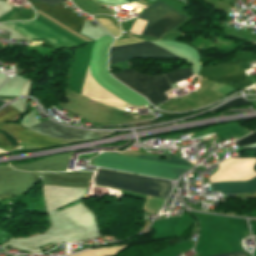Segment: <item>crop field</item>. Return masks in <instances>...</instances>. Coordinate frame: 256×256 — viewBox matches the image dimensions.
Listing matches in <instances>:
<instances>
[{"mask_svg": "<svg viewBox=\"0 0 256 256\" xmlns=\"http://www.w3.org/2000/svg\"><path fill=\"white\" fill-rule=\"evenodd\" d=\"M105 153L118 154V155H124V156H130V157H136V158H142V159H148V160H154V161H160V162H166V163H172V164H178V165H184V166H190V167L194 166V164L184 159L178 158L176 156H173V158L169 160H161L160 158L143 156V155L132 154V153H115V152H105ZM94 165L98 167L130 171L134 173L159 176V177H165L170 179H177L181 174L191 169L189 167L144 161V160H138V159H131V158H125V157H119V156L106 155V154H101L97 156L94 159Z\"/></svg>", "mask_w": 256, "mask_h": 256, "instance_id": "obj_1", "label": "crop field"}, {"mask_svg": "<svg viewBox=\"0 0 256 256\" xmlns=\"http://www.w3.org/2000/svg\"><path fill=\"white\" fill-rule=\"evenodd\" d=\"M49 15L53 16L57 20L71 27L77 32H80L85 20L76 14L72 13L63 6L57 4L53 7H49L43 3L33 4ZM13 30L21 33L27 38L34 40L38 38H44L53 44H75L73 41L68 38L60 35L59 33L53 31L47 26L41 24L40 22L34 20L32 22H21V23H8L5 24Z\"/></svg>", "mask_w": 256, "mask_h": 256, "instance_id": "obj_2", "label": "crop field"}, {"mask_svg": "<svg viewBox=\"0 0 256 256\" xmlns=\"http://www.w3.org/2000/svg\"><path fill=\"white\" fill-rule=\"evenodd\" d=\"M95 184L110 186L132 192L142 193L165 199L171 189L169 182L138 175L98 169Z\"/></svg>", "mask_w": 256, "mask_h": 256, "instance_id": "obj_3", "label": "crop field"}, {"mask_svg": "<svg viewBox=\"0 0 256 256\" xmlns=\"http://www.w3.org/2000/svg\"><path fill=\"white\" fill-rule=\"evenodd\" d=\"M140 18L150 20V22L147 20L138 19L136 20L130 31L142 35L144 29L149 22L143 35L160 38L164 32L188 17L180 14L179 12L169 8L166 4L158 1L147 7L142 12Z\"/></svg>", "mask_w": 256, "mask_h": 256, "instance_id": "obj_4", "label": "crop field"}, {"mask_svg": "<svg viewBox=\"0 0 256 256\" xmlns=\"http://www.w3.org/2000/svg\"><path fill=\"white\" fill-rule=\"evenodd\" d=\"M122 71V73L111 74H113L116 78L125 83L127 86L145 95L153 104L163 102L168 99L167 96L163 93L170 89V86L165 76H148L141 74L133 69H127Z\"/></svg>", "mask_w": 256, "mask_h": 256, "instance_id": "obj_5", "label": "crop field"}, {"mask_svg": "<svg viewBox=\"0 0 256 256\" xmlns=\"http://www.w3.org/2000/svg\"><path fill=\"white\" fill-rule=\"evenodd\" d=\"M148 42L133 37L115 41L113 46ZM179 58L152 42L114 47L110 49V64L133 58ZM181 59V58H180Z\"/></svg>", "mask_w": 256, "mask_h": 256, "instance_id": "obj_6", "label": "crop field"}, {"mask_svg": "<svg viewBox=\"0 0 256 256\" xmlns=\"http://www.w3.org/2000/svg\"><path fill=\"white\" fill-rule=\"evenodd\" d=\"M29 131H33L68 143L97 139L107 135L114 134L95 131H82L68 127H63L52 122L49 119L37 124L36 126L29 129Z\"/></svg>", "mask_w": 256, "mask_h": 256, "instance_id": "obj_7", "label": "crop field"}, {"mask_svg": "<svg viewBox=\"0 0 256 256\" xmlns=\"http://www.w3.org/2000/svg\"><path fill=\"white\" fill-rule=\"evenodd\" d=\"M219 170L209 178L210 182L249 180L256 176V158H230L219 164Z\"/></svg>", "mask_w": 256, "mask_h": 256, "instance_id": "obj_8", "label": "crop field"}, {"mask_svg": "<svg viewBox=\"0 0 256 256\" xmlns=\"http://www.w3.org/2000/svg\"><path fill=\"white\" fill-rule=\"evenodd\" d=\"M10 134L14 136L18 142H21L36 148L58 145V144H66L65 142H61L49 137H45L36 133L26 131V130L11 132Z\"/></svg>", "mask_w": 256, "mask_h": 256, "instance_id": "obj_9", "label": "crop field"}, {"mask_svg": "<svg viewBox=\"0 0 256 256\" xmlns=\"http://www.w3.org/2000/svg\"><path fill=\"white\" fill-rule=\"evenodd\" d=\"M212 190H221L222 194H242L256 191V177L249 182L211 183Z\"/></svg>", "mask_w": 256, "mask_h": 256, "instance_id": "obj_10", "label": "crop field"}, {"mask_svg": "<svg viewBox=\"0 0 256 256\" xmlns=\"http://www.w3.org/2000/svg\"><path fill=\"white\" fill-rule=\"evenodd\" d=\"M0 129L10 132V131H16V130H22L20 126L16 124H2L0 125ZM0 149H3L5 151L13 150L11 144L5 139L3 134L0 133Z\"/></svg>", "mask_w": 256, "mask_h": 256, "instance_id": "obj_11", "label": "crop field"}, {"mask_svg": "<svg viewBox=\"0 0 256 256\" xmlns=\"http://www.w3.org/2000/svg\"><path fill=\"white\" fill-rule=\"evenodd\" d=\"M124 246L107 248V249H92L89 251H85L80 254H76L73 256H109L115 254L118 250H120Z\"/></svg>", "mask_w": 256, "mask_h": 256, "instance_id": "obj_12", "label": "crop field"}, {"mask_svg": "<svg viewBox=\"0 0 256 256\" xmlns=\"http://www.w3.org/2000/svg\"><path fill=\"white\" fill-rule=\"evenodd\" d=\"M170 84L178 81H182L191 78L193 74L190 73V68L177 70L171 73L165 74Z\"/></svg>", "mask_w": 256, "mask_h": 256, "instance_id": "obj_13", "label": "crop field"}, {"mask_svg": "<svg viewBox=\"0 0 256 256\" xmlns=\"http://www.w3.org/2000/svg\"><path fill=\"white\" fill-rule=\"evenodd\" d=\"M19 114H21V113L18 112L12 106H9L6 109L0 111V123L7 122V121L13 119L14 117L18 116Z\"/></svg>", "mask_w": 256, "mask_h": 256, "instance_id": "obj_14", "label": "crop field"}, {"mask_svg": "<svg viewBox=\"0 0 256 256\" xmlns=\"http://www.w3.org/2000/svg\"><path fill=\"white\" fill-rule=\"evenodd\" d=\"M247 104H249V103L247 101H245L243 98H238V99H234V100L227 102L223 106L211 111V113L214 114V113H216L222 109H225V108L243 106V105H247Z\"/></svg>", "mask_w": 256, "mask_h": 256, "instance_id": "obj_15", "label": "crop field"}, {"mask_svg": "<svg viewBox=\"0 0 256 256\" xmlns=\"http://www.w3.org/2000/svg\"><path fill=\"white\" fill-rule=\"evenodd\" d=\"M98 21L106 30L110 31L114 35L118 36L120 31L114 26V24L108 18H98Z\"/></svg>", "mask_w": 256, "mask_h": 256, "instance_id": "obj_16", "label": "crop field"}, {"mask_svg": "<svg viewBox=\"0 0 256 256\" xmlns=\"http://www.w3.org/2000/svg\"><path fill=\"white\" fill-rule=\"evenodd\" d=\"M256 142V132L252 133L251 135L235 142V144L240 147L248 144H252Z\"/></svg>", "mask_w": 256, "mask_h": 256, "instance_id": "obj_17", "label": "crop field"}, {"mask_svg": "<svg viewBox=\"0 0 256 256\" xmlns=\"http://www.w3.org/2000/svg\"><path fill=\"white\" fill-rule=\"evenodd\" d=\"M216 256H247V254L242 252H236V253H228V254H222V255H216Z\"/></svg>", "mask_w": 256, "mask_h": 256, "instance_id": "obj_18", "label": "crop field"}, {"mask_svg": "<svg viewBox=\"0 0 256 256\" xmlns=\"http://www.w3.org/2000/svg\"><path fill=\"white\" fill-rule=\"evenodd\" d=\"M40 1H43V2L48 3V4H50V5H53V4L62 2V1H64V0H40Z\"/></svg>", "mask_w": 256, "mask_h": 256, "instance_id": "obj_19", "label": "crop field"}, {"mask_svg": "<svg viewBox=\"0 0 256 256\" xmlns=\"http://www.w3.org/2000/svg\"><path fill=\"white\" fill-rule=\"evenodd\" d=\"M3 103L2 102H0V105H2Z\"/></svg>", "mask_w": 256, "mask_h": 256, "instance_id": "obj_20", "label": "crop field"}, {"mask_svg": "<svg viewBox=\"0 0 256 256\" xmlns=\"http://www.w3.org/2000/svg\"><path fill=\"white\" fill-rule=\"evenodd\" d=\"M133 106H135V105H133ZM137 107H142V106H137Z\"/></svg>", "mask_w": 256, "mask_h": 256, "instance_id": "obj_21", "label": "crop field"}, {"mask_svg": "<svg viewBox=\"0 0 256 256\" xmlns=\"http://www.w3.org/2000/svg\"><path fill=\"white\" fill-rule=\"evenodd\" d=\"M4 101H10V100H4Z\"/></svg>", "mask_w": 256, "mask_h": 256, "instance_id": "obj_22", "label": "crop field"}, {"mask_svg": "<svg viewBox=\"0 0 256 256\" xmlns=\"http://www.w3.org/2000/svg\"><path fill=\"white\" fill-rule=\"evenodd\" d=\"M0 153H2V151H0Z\"/></svg>", "mask_w": 256, "mask_h": 256, "instance_id": "obj_23", "label": "crop field"}, {"mask_svg": "<svg viewBox=\"0 0 256 256\" xmlns=\"http://www.w3.org/2000/svg\"><path fill=\"white\" fill-rule=\"evenodd\" d=\"M4 1H7V0H4Z\"/></svg>", "mask_w": 256, "mask_h": 256, "instance_id": "obj_24", "label": "crop field"}]
</instances>
